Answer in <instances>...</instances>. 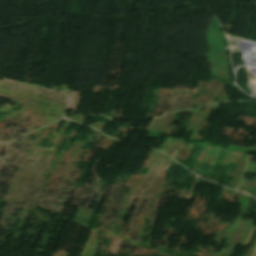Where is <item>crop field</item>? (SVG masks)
Instances as JSON below:
<instances>
[{
    "mask_svg": "<svg viewBox=\"0 0 256 256\" xmlns=\"http://www.w3.org/2000/svg\"><path fill=\"white\" fill-rule=\"evenodd\" d=\"M250 256H256V249L253 251V253Z\"/></svg>",
    "mask_w": 256,
    "mask_h": 256,
    "instance_id": "crop-field-1",
    "label": "crop field"
}]
</instances>
